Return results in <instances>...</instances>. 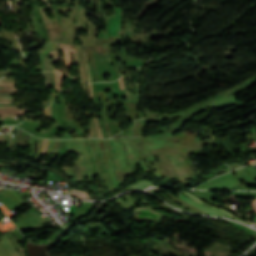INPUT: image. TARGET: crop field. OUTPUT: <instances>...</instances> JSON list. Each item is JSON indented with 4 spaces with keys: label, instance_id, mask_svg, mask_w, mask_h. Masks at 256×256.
Segmentation results:
<instances>
[{
    "label": "crop field",
    "instance_id": "8a807250",
    "mask_svg": "<svg viewBox=\"0 0 256 256\" xmlns=\"http://www.w3.org/2000/svg\"><path fill=\"white\" fill-rule=\"evenodd\" d=\"M175 192H176V191H175ZM177 193H178V192H177ZM178 194H179V198H181L182 200H184V201H186L187 203L191 204L192 206H194V207H196V208H198V209H200V210H202V211H204V212H206V213H208V214H210V215L222 216V215H220V214H218V213H216V212H214V211H211V210H209V209H207V208H205V207H203V206H201V205H199V204L193 202L192 200L186 198L183 194H181V193H178Z\"/></svg>",
    "mask_w": 256,
    "mask_h": 256
},
{
    "label": "crop field",
    "instance_id": "ac0d7876",
    "mask_svg": "<svg viewBox=\"0 0 256 256\" xmlns=\"http://www.w3.org/2000/svg\"><path fill=\"white\" fill-rule=\"evenodd\" d=\"M182 192V191H181ZM183 194H185L186 196H188L189 198H191L192 200H194V201H196V202H198V203H201V204H204L200 199H198V198H196L195 196H193L192 194H190V193H187V192H182ZM206 205V204H205ZM212 209H214V210H216V211H218V212H220V213H222V214H224V215H226V216H228V217H230V218H232V219H234V220H236V221H240V222H244V221H242V220H240V219H238V218H236V217H234L233 215H231L228 211H226V210H223V209H216V208H212ZM244 223H246V222H244ZM248 224V223H247Z\"/></svg>",
    "mask_w": 256,
    "mask_h": 256
},
{
    "label": "crop field",
    "instance_id": "34b2d1b8",
    "mask_svg": "<svg viewBox=\"0 0 256 256\" xmlns=\"http://www.w3.org/2000/svg\"><path fill=\"white\" fill-rule=\"evenodd\" d=\"M248 204L251 207V209L254 211V213L256 214V200H254Z\"/></svg>",
    "mask_w": 256,
    "mask_h": 256
},
{
    "label": "crop field",
    "instance_id": "412701ff",
    "mask_svg": "<svg viewBox=\"0 0 256 256\" xmlns=\"http://www.w3.org/2000/svg\"><path fill=\"white\" fill-rule=\"evenodd\" d=\"M77 2H78V4H79L80 12H81V14L83 15V14H84V12H83L82 6L80 5V3H79V1H78V0H77Z\"/></svg>",
    "mask_w": 256,
    "mask_h": 256
},
{
    "label": "crop field",
    "instance_id": "f4fd0767",
    "mask_svg": "<svg viewBox=\"0 0 256 256\" xmlns=\"http://www.w3.org/2000/svg\"><path fill=\"white\" fill-rule=\"evenodd\" d=\"M44 3V5H47V4H49V3H45V2H43Z\"/></svg>",
    "mask_w": 256,
    "mask_h": 256
},
{
    "label": "crop field",
    "instance_id": "dd49c442",
    "mask_svg": "<svg viewBox=\"0 0 256 256\" xmlns=\"http://www.w3.org/2000/svg\"><path fill=\"white\" fill-rule=\"evenodd\" d=\"M43 1H47V0H43Z\"/></svg>",
    "mask_w": 256,
    "mask_h": 256
},
{
    "label": "crop field",
    "instance_id": "e52e79f7",
    "mask_svg": "<svg viewBox=\"0 0 256 256\" xmlns=\"http://www.w3.org/2000/svg\"><path fill=\"white\" fill-rule=\"evenodd\" d=\"M253 226H256V224H255V225H253Z\"/></svg>",
    "mask_w": 256,
    "mask_h": 256
}]
</instances>
